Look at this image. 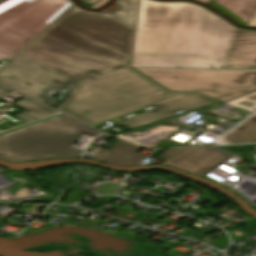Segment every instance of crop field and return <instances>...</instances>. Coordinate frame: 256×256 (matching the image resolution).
I'll use <instances>...</instances> for the list:
<instances>
[{"instance_id":"4","label":"crop field","mask_w":256,"mask_h":256,"mask_svg":"<svg viewBox=\"0 0 256 256\" xmlns=\"http://www.w3.org/2000/svg\"><path fill=\"white\" fill-rule=\"evenodd\" d=\"M83 132H100L59 116L0 136V159L10 162L76 158L83 150L70 145Z\"/></svg>"},{"instance_id":"3","label":"crop field","mask_w":256,"mask_h":256,"mask_svg":"<svg viewBox=\"0 0 256 256\" xmlns=\"http://www.w3.org/2000/svg\"><path fill=\"white\" fill-rule=\"evenodd\" d=\"M215 102L197 93H170L128 68L80 83L57 109L97 127L107 120L121 123L122 116L152 105L154 110L122 124L132 130Z\"/></svg>"},{"instance_id":"16","label":"crop field","mask_w":256,"mask_h":256,"mask_svg":"<svg viewBox=\"0 0 256 256\" xmlns=\"http://www.w3.org/2000/svg\"><path fill=\"white\" fill-rule=\"evenodd\" d=\"M249 26H256V12L248 23Z\"/></svg>"},{"instance_id":"6","label":"crop field","mask_w":256,"mask_h":256,"mask_svg":"<svg viewBox=\"0 0 256 256\" xmlns=\"http://www.w3.org/2000/svg\"><path fill=\"white\" fill-rule=\"evenodd\" d=\"M134 69L171 91H196L222 101L256 90V70Z\"/></svg>"},{"instance_id":"1","label":"crop field","mask_w":256,"mask_h":256,"mask_svg":"<svg viewBox=\"0 0 256 256\" xmlns=\"http://www.w3.org/2000/svg\"><path fill=\"white\" fill-rule=\"evenodd\" d=\"M136 1L100 13L74 5L0 70V82L47 104L51 89L129 67Z\"/></svg>"},{"instance_id":"18","label":"crop field","mask_w":256,"mask_h":256,"mask_svg":"<svg viewBox=\"0 0 256 256\" xmlns=\"http://www.w3.org/2000/svg\"><path fill=\"white\" fill-rule=\"evenodd\" d=\"M10 97H12V98H14V99H19V98H21V97H23L22 95H20V94H18V93H14V94H12V95H10Z\"/></svg>"},{"instance_id":"13","label":"crop field","mask_w":256,"mask_h":256,"mask_svg":"<svg viewBox=\"0 0 256 256\" xmlns=\"http://www.w3.org/2000/svg\"><path fill=\"white\" fill-rule=\"evenodd\" d=\"M181 149H169L167 152L161 154L159 157H162V158H170L172 157L176 152L180 151Z\"/></svg>"},{"instance_id":"2","label":"crop field","mask_w":256,"mask_h":256,"mask_svg":"<svg viewBox=\"0 0 256 256\" xmlns=\"http://www.w3.org/2000/svg\"><path fill=\"white\" fill-rule=\"evenodd\" d=\"M236 30L190 2L140 0L132 67L221 66Z\"/></svg>"},{"instance_id":"9","label":"crop field","mask_w":256,"mask_h":256,"mask_svg":"<svg viewBox=\"0 0 256 256\" xmlns=\"http://www.w3.org/2000/svg\"><path fill=\"white\" fill-rule=\"evenodd\" d=\"M139 149L141 147L117 140L110 151L99 148L95 160L120 166L137 165L146 156L136 153Z\"/></svg>"},{"instance_id":"12","label":"crop field","mask_w":256,"mask_h":256,"mask_svg":"<svg viewBox=\"0 0 256 256\" xmlns=\"http://www.w3.org/2000/svg\"><path fill=\"white\" fill-rule=\"evenodd\" d=\"M214 7H216L218 10H220L221 12H223L224 14H226L227 16L231 17L232 19H234L236 22H238L239 24H242L244 26H246L247 23H245L243 20H241L240 18H238L236 15L232 14L231 12L227 11L226 9H224L222 6H220L219 4L215 3L212 1V3L210 4Z\"/></svg>"},{"instance_id":"17","label":"crop field","mask_w":256,"mask_h":256,"mask_svg":"<svg viewBox=\"0 0 256 256\" xmlns=\"http://www.w3.org/2000/svg\"><path fill=\"white\" fill-rule=\"evenodd\" d=\"M82 2L92 6L94 3H96L98 0H81Z\"/></svg>"},{"instance_id":"11","label":"crop field","mask_w":256,"mask_h":256,"mask_svg":"<svg viewBox=\"0 0 256 256\" xmlns=\"http://www.w3.org/2000/svg\"><path fill=\"white\" fill-rule=\"evenodd\" d=\"M248 23L256 9V0H214Z\"/></svg>"},{"instance_id":"19","label":"crop field","mask_w":256,"mask_h":256,"mask_svg":"<svg viewBox=\"0 0 256 256\" xmlns=\"http://www.w3.org/2000/svg\"><path fill=\"white\" fill-rule=\"evenodd\" d=\"M2 1H4V0H0V2H2Z\"/></svg>"},{"instance_id":"15","label":"crop field","mask_w":256,"mask_h":256,"mask_svg":"<svg viewBox=\"0 0 256 256\" xmlns=\"http://www.w3.org/2000/svg\"><path fill=\"white\" fill-rule=\"evenodd\" d=\"M11 92L13 91L0 85V97H3Z\"/></svg>"},{"instance_id":"8","label":"crop field","mask_w":256,"mask_h":256,"mask_svg":"<svg viewBox=\"0 0 256 256\" xmlns=\"http://www.w3.org/2000/svg\"><path fill=\"white\" fill-rule=\"evenodd\" d=\"M222 68L256 69V31L238 28Z\"/></svg>"},{"instance_id":"14","label":"crop field","mask_w":256,"mask_h":256,"mask_svg":"<svg viewBox=\"0 0 256 256\" xmlns=\"http://www.w3.org/2000/svg\"><path fill=\"white\" fill-rule=\"evenodd\" d=\"M108 1H110V0H101L99 3H97L94 7H92L91 9H96V8H98V7H101V6H104ZM200 1H202V2H204V3H206V4H208V2L210 1V0H200Z\"/></svg>"},{"instance_id":"7","label":"crop field","mask_w":256,"mask_h":256,"mask_svg":"<svg viewBox=\"0 0 256 256\" xmlns=\"http://www.w3.org/2000/svg\"><path fill=\"white\" fill-rule=\"evenodd\" d=\"M229 156L214 147L184 148L162 165L175 167L201 176Z\"/></svg>"},{"instance_id":"20","label":"crop field","mask_w":256,"mask_h":256,"mask_svg":"<svg viewBox=\"0 0 256 256\" xmlns=\"http://www.w3.org/2000/svg\"><path fill=\"white\" fill-rule=\"evenodd\" d=\"M211 1H212V0H211ZM211 1H210V2H211ZM210 2H209V4H210Z\"/></svg>"},{"instance_id":"5","label":"crop field","mask_w":256,"mask_h":256,"mask_svg":"<svg viewBox=\"0 0 256 256\" xmlns=\"http://www.w3.org/2000/svg\"><path fill=\"white\" fill-rule=\"evenodd\" d=\"M72 5L71 0H6L0 3V60H10Z\"/></svg>"},{"instance_id":"10","label":"crop field","mask_w":256,"mask_h":256,"mask_svg":"<svg viewBox=\"0 0 256 256\" xmlns=\"http://www.w3.org/2000/svg\"><path fill=\"white\" fill-rule=\"evenodd\" d=\"M15 106L25 110V112L16 116L23 123L57 113V111H55L51 108H48L44 105H41V104H39L35 101H32L30 99L18 102L15 104Z\"/></svg>"}]
</instances>
